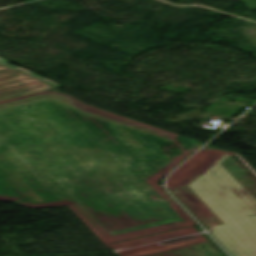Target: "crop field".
<instances>
[{
    "instance_id": "obj_1",
    "label": "crop field",
    "mask_w": 256,
    "mask_h": 256,
    "mask_svg": "<svg viewBox=\"0 0 256 256\" xmlns=\"http://www.w3.org/2000/svg\"><path fill=\"white\" fill-rule=\"evenodd\" d=\"M188 186L225 224L208 228L222 245L233 256H256V185L234 162L224 153Z\"/></svg>"
},
{
    "instance_id": "obj_2",
    "label": "crop field",
    "mask_w": 256,
    "mask_h": 256,
    "mask_svg": "<svg viewBox=\"0 0 256 256\" xmlns=\"http://www.w3.org/2000/svg\"><path fill=\"white\" fill-rule=\"evenodd\" d=\"M55 89L21 71L0 65V101Z\"/></svg>"
},
{
    "instance_id": "obj_3",
    "label": "crop field",
    "mask_w": 256,
    "mask_h": 256,
    "mask_svg": "<svg viewBox=\"0 0 256 256\" xmlns=\"http://www.w3.org/2000/svg\"><path fill=\"white\" fill-rule=\"evenodd\" d=\"M8 62H10V61L0 57V64L4 65V66H6V67H8V68H10L12 70H15V69L21 70V71H23V72H25V73H27V74H29V75L37 78V79H40V80H42V81H44V82H46V83H48V84H50V85H52V86H54L56 88L63 87V86H61V85H59V84H57L55 82H52V81H50V80H48L46 78H43V77H41V76H39V75H37V74H35L33 72H30V71H28V70H26L24 68H19V67L8 65L7 64Z\"/></svg>"
},
{
    "instance_id": "obj_4",
    "label": "crop field",
    "mask_w": 256,
    "mask_h": 256,
    "mask_svg": "<svg viewBox=\"0 0 256 256\" xmlns=\"http://www.w3.org/2000/svg\"><path fill=\"white\" fill-rule=\"evenodd\" d=\"M186 256H208L198 245L181 248L180 249Z\"/></svg>"
}]
</instances>
